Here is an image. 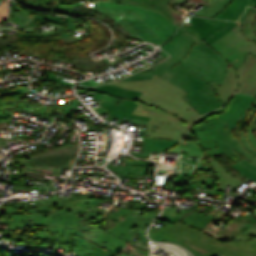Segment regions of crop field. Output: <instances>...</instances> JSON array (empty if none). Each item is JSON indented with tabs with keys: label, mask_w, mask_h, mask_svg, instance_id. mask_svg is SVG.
<instances>
[{
	"label": "crop field",
	"mask_w": 256,
	"mask_h": 256,
	"mask_svg": "<svg viewBox=\"0 0 256 256\" xmlns=\"http://www.w3.org/2000/svg\"><path fill=\"white\" fill-rule=\"evenodd\" d=\"M46 200V204L39 200L38 208L32 209L30 202L23 205L22 210L16 211L8 208V218H13L8 227L24 229V225L32 226L36 231V238L74 243L80 237L94 242L114 253H118L131 240L133 235L140 229L148 227L158 213H144L142 218L128 215L131 209L114 208L112 212L100 210L98 206L91 205L87 213L56 212L55 204H59L57 195ZM88 217L102 222L106 217L118 222L106 232L80 222V218ZM93 243V244H94ZM95 244V245H96Z\"/></svg>",
	"instance_id": "1"
},
{
	"label": "crop field",
	"mask_w": 256,
	"mask_h": 256,
	"mask_svg": "<svg viewBox=\"0 0 256 256\" xmlns=\"http://www.w3.org/2000/svg\"><path fill=\"white\" fill-rule=\"evenodd\" d=\"M213 50L207 45L201 48L183 37L170 52L172 56L169 59L152 67L155 72L136 73L119 81L148 80L152 79L154 73L188 92L182 97L202 115L222 107L206 84L215 81L220 86L226 75V67L231 66Z\"/></svg>",
	"instance_id": "2"
},
{
	"label": "crop field",
	"mask_w": 256,
	"mask_h": 256,
	"mask_svg": "<svg viewBox=\"0 0 256 256\" xmlns=\"http://www.w3.org/2000/svg\"><path fill=\"white\" fill-rule=\"evenodd\" d=\"M100 105L110 114L120 118L149 120L147 137L150 138L182 139L196 118L200 116L192 108L175 117L162 110L129 99H122L119 105L107 102H102Z\"/></svg>",
	"instance_id": "3"
},
{
	"label": "crop field",
	"mask_w": 256,
	"mask_h": 256,
	"mask_svg": "<svg viewBox=\"0 0 256 256\" xmlns=\"http://www.w3.org/2000/svg\"><path fill=\"white\" fill-rule=\"evenodd\" d=\"M153 241H172L189 249L195 256H210L215 253L223 256H256V240L225 242L197 231L187 225L176 222L174 226L166 224L162 229L150 228Z\"/></svg>",
	"instance_id": "4"
},
{
	"label": "crop field",
	"mask_w": 256,
	"mask_h": 256,
	"mask_svg": "<svg viewBox=\"0 0 256 256\" xmlns=\"http://www.w3.org/2000/svg\"><path fill=\"white\" fill-rule=\"evenodd\" d=\"M98 7L131 10L165 42L181 24L182 16L170 5V0H127L126 5L99 3Z\"/></svg>",
	"instance_id": "5"
},
{
	"label": "crop field",
	"mask_w": 256,
	"mask_h": 256,
	"mask_svg": "<svg viewBox=\"0 0 256 256\" xmlns=\"http://www.w3.org/2000/svg\"><path fill=\"white\" fill-rule=\"evenodd\" d=\"M110 84L141 91L143 93L138 102L162 109L175 116L191 108L181 97L187 94L185 91L156 75L153 80L148 81L112 82Z\"/></svg>",
	"instance_id": "6"
},
{
	"label": "crop field",
	"mask_w": 256,
	"mask_h": 256,
	"mask_svg": "<svg viewBox=\"0 0 256 256\" xmlns=\"http://www.w3.org/2000/svg\"><path fill=\"white\" fill-rule=\"evenodd\" d=\"M209 119L214 123L193 132L198 145L208 157L222 153L235 162L241 159L240 156L243 154L256 162V157L247 152L240 141L238 142L235 137L231 136V130L225 129L227 124L213 116Z\"/></svg>",
	"instance_id": "7"
},
{
	"label": "crop field",
	"mask_w": 256,
	"mask_h": 256,
	"mask_svg": "<svg viewBox=\"0 0 256 256\" xmlns=\"http://www.w3.org/2000/svg\"><path fill=\"white\" fill-rule=\"evenodd\" d=\"M227 69V75L220 88L215 82L212 83L225 104L234 92L256 95V58L254 56L248 54L247 59L237 71L233 67Z\"/></svg>",
	"instance_id": "8"
},
{
	"label": "crop field",
	"mask_w": 256,
	"mask_h": 256,
	"mask_svg": "<svg viewBox=\"0 0 256 256\" xmlns=\"http://www.w3.org/2000/svg\"><path fill=\"white\" fill-rule=\"evenodd\" d=\"M236 22H224L200 17H184V23L177 31L199 46L210 45L234 28Z\"/></svg>",
	"instance_id": "9"
},
{
	"label": "crop field",
	"mask_w": 256,
	"mask_h": 256,
	"mask_svg": "<svg viewBox=\"0 0 256 256\" xmlns=\"http://www.w3.org/2000/svg\"><path fill=\"white\" fill-rule=\"evenodd\" d=\"M242 24L243 22L237 23L233 30L210 45L236 69L244 62L248 52L256 56V44L244 37L241 32Z\"/></svg>",
	"instance_id": "10"
},
{
	"label": "crop field",
	"mask_w": 256,
	"mask_h": 256,
	"mask_svg": "<svg viewBox=\"0 0 256 256\" xmlns=\"http://www.w3.org/2000/svg\"><path fill=\"white\" fill-rule=\"evenodd\" d=\"M255 99V96L236 93L228 103L227 110L222 114L217 115V117L228 124L226 128L236 129L239 120L248 110V108L253 104Z\"/></svg>",
	"instance_id": "11"
},
{
	"label": "crop field",
	"mask_w": 256,
	"mask_h": 256,
	"mask_svg": "<svg viewBox=\"0 0 256 256\" xmlns=\"http://www.w3.org/2000/svg\"><path fill=\"white\" fill-rule=\"evenodd\" d=\"M179 140H166V139H149L146 138V128L144 134V142H143V154L132 153L136 157H148L149 152L156 151L161 152L164 151L171 146L175 145Z\"/></svg>",
	"instance_id": "12"
},
{
	"label": "crop field",
	"mask_w": 256,
	"mask_h": 256,
	"mask_svg": "<svg viewBox=\"0 0 256 256\" xmlns=\"http://www.w3.org/2000/svg\"><path fill=\"white\" fill-rule=\"evenodd\" d=\"M80 89L88 90V91H92V92L105 93V94L117 96L120 98H129V99H133L135 101H137L139 96L141 95L140 92L125 90V89H122V88L114 86V85H104V86H100V87H96V88H89V87L81 86Z\"/></svg>",
	"instance_id": "13"
},
{
	"label": "crop field",
	"mask_w": 256,
	"mask_h": 256,
	"mask_svg": "<svg viewBox=\"0 0 256 256\" xmlns=\"http://www.w3.org/2000/svg\"><path fill=\"white\" fill-rule=\"evenodd\" d=\"M211 161V165L219 176L218 185L219 191L225 192L226 186H231V189L240 183V180L236 179L233 175L227 172L222 165L214 158H209Z\"/></svg>",
	"instance_id": "14"
},
{
	"label": "crop field",
	"mask_w": 256,
	"mask_h": 256,
	"mask_svg": "<svg viewBox=\"0 0 256 256\" xmlns=\"http://www.w3.org/2000/svg\"><path fill=\"white\" fill-rule=\"evenodd\" d=\"M195 1L202 2L210 5L198 16L203 17H213L217 13L221 12L232 0H172V5L179 3L180 6L184 5L186 2Z\"/></svg>",
	"instance_id": "15"
},
{
	"label": "crop field",
	"mask_w": 256,
	"mask_h": 256,
	"mask_svg": "<svg viewBox=\"0 0 256 256\" xmlns=\"http://www.w3.org/2000/svg\"><path fill=\"white\" fill-rule=\"evenodd\" d=\"M74 250L80 251L78 254L81 256H115L116 254L90 243L82 238L77 242Z\"/></svg>",
	"instance_id": "16"
},
{
	"label": "crop field",
	"mask_w": 256,
	"mask_h": 256,
	"mask_svg": "<svg viewBox=\"0 0 256 256\" xmlns=\"http://www.w3.org/2000/svg\"><path fill=\"white\" fill-rule=\"evenodd\" d=\"M249 0H233L220 14L214 18L237 21L248 5Z\"/></svg>",
	"instance_id": "17"
},
{
	"label": "crop field",
	"mask_w": 256,
	"mask_h": 256,
	"mask_svg": "<svg viewBox=\"0 0 256 256\" xmlns=\"http://www.w3.org/2000/svg\"><path fill=\"white\" fill-rule=\"evenodd\" d=\"M241 157L243 159L235 162L230 166L233 167L239 173L245 175L246 177L256 182V164L245 158L243 155Z\"/></svg>",
	"instance_id": "18"
},
{
	"label": "crop field",
	"mask_w": 256,
	"mask_h": 256,
	"mask_svg": "<svg viewBox=\"0 0 256 256\" xmlns=\"http://www.w3.org/2000/svg\"><path fill=\"white\" fill-rule=\"evenodd\" d=\"M72 60L74 66L82 71L98 69L104 66L102 62H93L90 57L72 56Z\"/></svg>",
	"instance_id": "19"
},
{
	"label": "crop field",
	"mask_w": 256,
	"mask_h": 256,
	"mask_svg": "<svg viewBox=\"0 0 256 256\" xmlns=\"http://www.w3.org/2000/svg\"><path fill=\"white\" fill-rule=\"evenodd\" d=\"M33 18L34 19H32V21L26 27H24V28L31 27V26H38V25L43 23L44 19L49 20V21H53V22H56V23H59V24H62L58 31H54V32H52V33H50L48 35H55V34L61 33L65 29V27H66V21L64 20L63 17H58V16L52 17V16L36 15ZM17 30H19V29H17Z\"/></svg>",
	"instance_id": "20"
},
{
	"label": "crop field",
	"mask_w": 256,
	"mask_h": 256,
	"mask_svg": "<svg viewBox=\"0 0 256 256\" xmlns=\"http://www.w3.org/2000/svg\"><path fill=\"white\" fill-rule=\"evenodd\" d=\"M243 33L249 39H252L256 42V9H252L243 26Z\"/></svg>",
	"instance_id": "21"
},
{
	"label": "crop field",
	"mask_w": 256,
	"mask_h": 256,
	"mask_svg": "<svg viewBox=\"0 0 256 256\" xmlns=\"http://www.w3.org/2000/svg\"><path fill=\"white\" fill-rule=\"evenodd\" d=\"M246 225H247L246 222L233 220L227 226H225L220 232L226 234L227 236H229L231 238L240 234V235L252 238V239H256L255 237H251V236L240 233L241 231H243V229Z\"/></svg>",
	"instance_id": "22"
},
{
	"label": "crop field",
	"mask_w": 256,
	"mask_h": 256,
	"mask_svg": "<svg viewBox=\"0 0 256 256\" xmlns=\"http://www.w3.org/2000/svg\"><path fill=\"white\" fill-rule=\"evenodd\" d=\"M73 161H74L73 157L71 156L33 160V162H40L41 164L62 166V167H68V168L72 166Z\"/></svg>",
	"instance_id": "23"
},
{
	"label": "crop field",
	"mask_w": 256,
	"mask_h": 256,
	"mask_svg": "<svg viewBox=\"0 0 256 256\" xmlns=\"http://www.w3.org/2000/svg\"><path fill=\"white\" fill-rule=\"evenodd\" d=\"M113 172L122 174H134V175H146L148 168H136V167H121V166H108Z\"/></svg>",
	"instance_id": "24"
},
{
	"label": "crop field",
	"mask_w": 256,
	"mask_h": 256,
	"mask_svg": "<svg viewBox=\"0 0 256 256\" xmlns=\"http://www.w3.org/2000/svg\"><path fill=\"white\" fill-rule=\"evenodd\" d=\"M70 154V155H74L73 149L71 147V145L65 146V147H61V148H57L54 149L52 151H47V152H43L39 155V157H34V158H47L51 155H59V154ZM31 159V158H28Z\"/></svg>",
	"instance_id": "25"
},
{
	"label": "crop field",
	"mask_w": 256,
	"mask_h": 256,
	"mask_svg": "<svg viewBox=\"0 0 256 256\" xmlns=\"http://www.w3.org/2000/svg\"><path fill=\"white\" fill-rule=\"evenodd\" d=\"M148 252L134 248L128 245L120 254L117 256H147Z\"/></svg>",
	"instance_id": "26"
},
{
	"label": "crop field",
	"mask_w": 256,
	"mask_h": 256,
	"mask_svg": "<svg viewBox=\"0 0 256 256\" xmlns=\"http://www.w3.org/2000/svg\"><path fill=\"white\" fill-rule=\"evenodd\" d=\"M246 133L248 136V140L256 148V115L252 119Z\"/></svg>",
	"instance_id": "27"
},
{
	"label": "crop field",
	"mask_w": 256,
	"mask_h": 256,
	"mask_svg": "<svg viewBox=\"0 0 256 256\" xmlns=\"http://www.w3.org/2000/svg\"><path fill=\"white\" fill-rule=\"evenodd\" d=\"M181 38H182V36L175 34V36L169 42H167L160 48H162L163 50H165L166 52L169 53L179 43Z\"/></svg>",
	"instance_id": "28"
},
{
	"label": "crop field",
	"mask_w": 256,
	"mask_h": 256,
	"mask_svg": "<svg viewBox=\"0 0 256 256\" xmlns=\"http://www.w3.org/2000/svg\"><path fill=\"white\" fill-rule=\"evenodd\" d=\"M241 141L244 144V146L250 151L252 152L254 155H256V149L248 142L247 140V136L246 133L241 131Z\"/></svg>",
	"instance_id": "29"
},
{
	"label": "crop field",
	"mask_w": 256,
	"mask_h": 256,
	"mask_svg": "<svg viewBox=\"0 0 256 256\" xmlns=\"http://www.w3.org/2000/svg\"><path fill=\"white\" fill-rule=\"evenodd\" d=\"M8 11V2L6 0L0 5V22L6 17Z\"/></svg>",
	"instance_id": "30"
},
{
	"label": "crop field",
	"mask_w": 256,
	"mask_h": 256,
	"mask_svg": "<svg viewBox=\"0 0 256 256\" xmlns=\"http://www.w3.org/2000/svg\"><path fill=\"white\" fill-rule=\"evenodd\" d=\"M226 108H227V107L222 108V109H219V110H216V111H213V112H211V113H208V114H206V115L201 116V117L194 123V125L197 124V123H199V122H201V121H203V120H205L206 118H208V117H210V116H212V115L215 116V115L221 113L222 111L226 110Z\"/></svg>",
	"instance_id": "31"
},
{
	"label": "crop field",
	"mask_w": 256,
	"mask_h": 256,
	"mask_svg": "<svg viewBox=\"0 0 256 256\" xmlns=\"http://www.w3.org/2000/svg\"><path fill=\"white\" fill-rule=\"evenodd\" d=\"M210 123H212V122L207 119V120H205V121H203V122H201V123H199V124L193 126L190 130L193 132V131H195V130L201 128V127H204V126H206V125H208V124H210Z\"/></svg>",
	"instance_id": "32"
},
{
	"label": "crop field",
	"mask_w": 256,
	"mask_h": 256,
	"mask_svg": "<svg viewBox=\"0 0 256 256\" xmlns=\"http://www.w3.org/2000/svg\"><path fill=\"white\" fill-rule=\"evenodd\" d=\"M145 230H146V229L139 231V232L136 234L135 238L149 242V240L147 239V237H146V235H145Z\"/></svg>",
	"instance_id": "33"
},
{
	"label": "crop field",
	"mask_w": 256,
	"mask_h": 256,
	"mask_svg": "<svg viewBox=\"0 0 256 256\" xmlns=\"http://www.w3.org/2000/svg\"><path fill=\"white\" fill-rule=\"evenodd\" d=\"M128 164L127 165H137V166H145L146 161H132V160H127Z\"/></svg>",
	"instance_id": "34"
},
{
	"label": "crop field",
	"mask_w": 256,
	"mask_h": 256,
	"mask_svg": "<svg viewBox=\"0 0 256 256\" xmlns=\"http://www.w3.org/2000/svg\"><path fill=\"white\" fill-rule=\"evenodd\" d=\"M253 106H256V101H255V103H254ZM253 106H251V107L249 108V110H250ZM249 110L245 113V115H244L243 118L240 120V122H239V124H238V126H237V136H238V138H239L238 129H239L241 123L243 122L244 118L246 117L247 113L249 112Z\"/></svg>",
	"instance_id": "35"
},
{
	"label": "crop field",
	"mask_w": 256,
	"mask_h": 256,
	"mask_svg": "<svg viewBox=\"0 0 256 256\" xmlns=\"http://www.w3.org/2000/svg\"><path fill=\"white\" fill-rule=\"evenodd\" d=\"M251 10V7H247L243 15L241 16L239 21H244L245 17L247 16V13Z\"/></svg>",
	"instance_id": "36"
},
{
	"label": "crop field",
	"mask_w": 256,
	"mask_h": 256,
	"mask_svg": "<svg viewBox=\"0 0 256 256\" xmlns=\"http://www.w3.org/2000/svg\"><path fill=\"white\" fill-rule=\"evenodd\" d=\"M250 218H251V214H249V215H247V216H245V217H241V218L236 219V220H241V221H246V222H248Z\"/></svg>",
	"instance_id": "37"
},
{
	"label": "crop field",
	"mask_w": 256,
	"mask_h": 256,
	"mask_svg": "<svg viewBox=\"0 0 256 256\" xmlns=\"http://www.w3.org/2000/svg\"><path fill=\"white\" fill-rule=\"evenodd\" d=\"M118 176H123V177H133V178H138V177H146V176H133V175H122V174H117Z\"/></svg>",
	"instance_id": "38"
},
{
	"label": "crop field",
	"mask_w": 256,
	"mask_h": 256,
	"mask_svg": "<svg viewBox=\"0 0 256 256\" xmlns=\"http://www.w3.org/2000/svg\"><path fill=\"white\" fill-rule=\"evenodd\" d=\"M249 5H250V6H253V7H256V0H251V2H250Z\"/></svg>",
	"instance_id": "39"
},
{
	"label": "crop field",
	"mask_w": 256,
	"mask_h": 256,
	"mask_svg": "<svg viewBox=\"0 0 256 256\" xmlns=\"http://www.w3.org/2000/svg\"><path fill=\"white\" fill-rule=\"evenodd\" d=\"M130 245H132V246H134V247H137V248H140V249H142V250H145V251H148L149 252V250H147V249H145V248H143V247H140V246H137V245H134V244H131V243H129Z\"/></svg>",
	"instance_id": "40"
},
{
	"label": "crop field",
	"mask_w": 256,
	"mask_h": 256,
	"mask_svg": "<svg viewBox=\"0 0 256 256\" xmlns=\"http://www.w3.org/2000/svg\"><path fill=\"white\" fill-rule=\"evenodd\" d=\"M251 224L250 223H248V225L245 227V229L248 227V226H250Z\"/></svg>",
	"instance_id": "41"
},
{
	"label": "crop field",
	"mask_w": 256,
	"mask_h": 256,
	"mask_svg": "<svg viewBox=\"0 0 256 256\" xmlns=\"http://www.w3.org/2000/svg\"><path fill=\"white\" fill-rule=\"evenodd\" d=\"M6 114H13V113H6Z\"/></svg>",
	"instance_id": "42"
}]
</instances>
